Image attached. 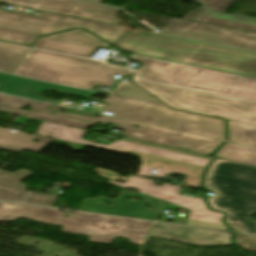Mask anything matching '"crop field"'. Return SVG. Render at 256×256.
<instances>
[{
    "label": "crop field",
    "mask_w": 256,
    "mask_h": 256,
    "mask_svg": "<svg viewBox=\"0 0 256 256\" xmlns=\"http://www.w3.org/2000/svg\"><path fill=\"white\" fill-rule=\"evenodd\" d=\"M0 92L21 96L25 98L35 99L47 102L41 97V92L44 90H54L58 92L73 94L77 96L87 97L92 96V92L76 90L30 79L10 76L0 73ZM35 93L39 94L38 96Z\"/></svg>",
    "instance_id": "crop-field-14"
},
{
    "label": "crop field",
    "mask_w": 256,
    "mask_h": 256,
    "mask_svg": "<svg viewBox=\"0 0 256 256\" xmlns=\"http://www.w3.org/2000/svg\"><path fill=\"white\" fill-rule=\"evenodd\" d=\"M228 160L256 165V148L226 143L216 154Z\"/></svg>",
    "instance_id": "crop-field-19"
},
{
    "label": "crop field",
    "mask_w": 256,
    "mask_h": 256,
    "mask_svg": "<svg viewBox=\"0 0 256 256\" xmlns=\"http://www.w3.org/2000/svg\"><path fill=\"white\" fill-rule=\"evenodd\" d=\"M46 37H51V38L96 46V47H103V48H108L110 46L84 30H71V31H67V32H63V33H59L51 36H46Z\"/></svg>",
    "instance_id": "crop-field-22"
},
{
    "label": "crop field",
    "mask_w": 256,
    "mask_h": 256,
    "mask_svg": "<svg viewBox=\"0 0 256 256\" xmlns=\"http://www.w3.org/2000/svg\"><path fill=\"white\" fill-rule=\"evenodd\" d=\"M77 27L86 29L111 44L124 29L120 26L44 12L36 16L17 11H0V28L43 35Z\"/></svg>",
    "instance_id": "crop-field-10"
},
{
    "label": "crop field",
    "mask_w": 256,
    "mask_h": 256,
    "mask_svg": "<svg viewBox=\"0 0 256 256\" xmlns=\"http://www.w3.org/2000/svg\"><path fill=\"white\" fill-rule=\"evenodd\" d=\"M3 2L14 3L26 7L72 15L92 20L103 21L118 25L120 19L114 17L119 9L96 5L76 0H0Z\"/></svg>",
    "instance_id": "crop-field-13"
},
{
    "label": "crop field",
    "mask_w": 256,
    "mask_h": 256,
    "mask_svg": "<svg viewBox=\"0 0 256 256\" xmlns=\"http://www.w3.org/2000/svg\"><path fill=\"white\" fill-rule=\"evenodd\" d=\"M253 77L256 78V74Z\"/></svg>",
    "instance_id": "crop-field-36"
},
{
    "label": "crop field",
    "mask_w": 256,
    "mask_h": 256,
    "mask_svg": "<svg viewBox=\"0 0 256 256\" xmlns=\"http://www.w3.org/2000/svg\"><path fill=\"white\" fill-rule=\"evenodd\" d=\"M124 51L231 73L251 76L256 53L199 43L177 37L121 33L112 44Z\"/></svg>",
    "instance_id": "crop-field-2"
},
{
    "label": "crop field",
    "mask_w": 256,
    "mask_h": 256,
    "mask_svg": "<svg viewBox=\"0 0 256 256\" xmlns=\"http://www.w3.org/2000/svg\"><path fill=\"white\" fill-rule=\"evenodd\" d=\"M114 117L225 140L224 120L109 96Z\"/></svg>",
    "instance_id": "crop-field-8"
},
{
    "label": "crop field",
    "mask_w": 256,
    "mask_h": 256,
    "mask_svg": "<svg viewBox=\"0 0 256 256\" xmlns=\"http://www.w3.org/2000/svg\"><path fill=\"white\" fill-rule=\"evenodd\" d=\"M86 1L100 3L102 0H86Z\"/></svg>",
    "instance_id": "crop-field-35"
},
{
    "label": "crop field",
    "mask_w": 256,
    "mask_h": 256,
    "mask_svg": "<svg viewBox=\"0 0 256 256\" xmlns=\"http://www.w3.org/2000/svg\"><path fill=\"white\" fill-rule=\"evenodd\" d=\"M112 96L167 107L163 103L143 91L141 88L123 81H121L119 85L114 89Z\"/></svg>",
    "instance_id": "crop-field-20"
},
{
    "label": "crop field",
    "mask_w": 256,
    "mask_h": 256,
    "mask_svg": "<svg viewBox=\"0 0 256 256\" xmlns=\"http://www.w3.org/2000/svg\"><path fill=\"white\" fill-rule=\"evenodd\" d=\"M27 119H31V118L18 116L13 122L20 123V124H25ZM33 120H36V119H33ZM36 121L42 122V120H36Z\"/></svg>",
    "instance_id": "crop-field-31"
},
{
    "label": "crop field",
    "mask_w": 256,
    "mask_h": 256,
    "mask_svg": "<svg viewBox=\"0 0 256 256\" xmlns=\"http://www.w3.org/2000/svg\"><path fill=\"white\" fill-rule=\"evenodd\" d=\"M183 19L256 32L255 20L216 14L214 12L208 11L204 7L191 11L189 14L183 17Z\"/></svg>",
    "instance_id": "crop-field-15"
},
{
    "label": "crop field",
    "mask_w": 256,
    "mask_h": 256,
    "mask_svg": "<svg viewBox=\"0 0 256 256\" xmlns=\"http://www.w3.org/2000/svg\"><path fill=\"white\" fill-rule=\"evenodd\" d=\"M68 144L70 147H72L73 149H77V150H81L83 147H85L84 145H79V144H74V143H68Z\"/></svg>",
    "instance_id": "crop-field-32"
},
{
    "label": "crop field",
    "mask_w": 256,
    "mask_h": 256,
    "mask_svg": "<svg viewBox=\"0 0 256 256\" xmlns=\"http://www.w3.org/2000/svg\"><path fill=\"white\" fill-rule=\"evenodd\" d=\"M32 174L27 171H18L11 174L0 170V200L23 202V197L28 191H24L26 185L19 181Z\"/></svg>",
    "instance_id": "crop-field-16"
},
{
    "label": "crop field",
    "mask_w": 256,
    "mask_h": 256,
    "mask_svg": "<svg viewBox=\"0 0 256 256\" xmlns=\"http://www.w3.org/2000/svg\"><path fill=\"white\" fill-rule=\"evenodd\" d=\"M35 138L39 143L32 141ZM51 140L41 139L29 135H22L14 132H7L0 129V145L13 147L21 150L37 153Z\"/></svg>",
    "instance_id": "crop-field-18"
},
{
    "label": "crop field",
    "mask_w": 256,
    "mask_h": 256,
    "mask_svg": "<svg viewBox=\"0 0 256 256\" xmlns=\"http://www.w3.org/2000/svg\"><path fill=\"white\" fill-rule=\"evenodd\" d=\"M161 167H162L161 165H159L158 167H155V166L153 167L154 170H157L155 173L156 175L159 174Z\"/></svg>",
    "instance_id": "crop-field-33"
},
{
    "label": "crop field",
    "mask_w": 256,
    "mask_h": 256,
    "mask_svg": "<svg viewBox=\"0 0 256 256\" xmlns=\"http://www.w3.org/2000/svg\"><path fill=\"white\" fill-rule=\"evenodd\" d=\"M135 78L256 102V80L135 56Z\"/></svg>",
    "instance_id": "crop-field-7"
},
{
    "label": "crop field",
    "mask_w": 256,
    "mask_h": 256,
    "mask_svg": "<svg viewBox=\"0 0 256 256\" xmlns=\"http://www.w3.org/2000/svg\"><path fill=\"white\" fill-rule=\"evenodd\" d=\"M133 72L100 61L31 49L12 74L90 90L94 85L111 86L116 81L114 74L128 76Z\"/></svg>",
    "instance_id": "crop-field-6"
},
{
    "label": "crop field",
    "mask_w": 256,
    "mask_h": 256,
    "mask_svg": "<svg viewBox=\"0 0 256 256\" xmlns=\"http://www.w3.org/2000/svg\"><path fill=\"white\" fill-rule=\"evenodd\" d=\"M35 48L53 50L65 54L84 56L89 58L96 50V47L42 37L35 44Z\"/></svg>",
    "instance_id": "crop-field-17"
},
{
    "label": "crop field",
    "mask_w": 256,
    "mask_h": 256,
    "mask_svg": "<svg viewBox=\"0 0 256 256\" xmlns=\"http://www.w3.org/2000/svg\"><path fill=\"white\" fill-rule=\"evenodd\" d=\"M58 196L30 192L26 197L27 204L52 207Z\"/></svg>",
    "instance_id": "crop-field-27"
},
{
    "label": "crop field",
    "mask_w": 256,
    "mask_h": 256,
    "mask_svg": "<svg viewBox=\"0 0 256 256\" xmlns=\"http://www.w3.org/2000/svg\"><path fill=\"white\" fill-rule=\"evenodd\" d=\"M110 183L122 188L137 189L140 191V194L131 195L125 191L118 200H110L107 198L84 200L81 210L139 219L157 220L159 214L164 211V209L174 210L182 208L192 210L186 225L221 230L228 229L221 221L224 214L208 210L202 197L191 198L179 196L180 187L178 186L165 183L158 186L151 180L136 177H130L126 184L114 181H110ZM128 197H137L144 200V202L126 200ZM105 201L113 203L114 206H105ZM148 202L153 204L155 209L159 212H151L145 207Z\"/></svg>",
    "instance_id": "crop-field-1"
},
{
    "label": "crop field",
    "mask_w": 256,
    "mask_h": 256,
    "mask_svg": "<svg viewBox=\"0 0 256 256\" xmlns=\"http://www.w3.org/2000/svg\"><path fill=\"white\" fill-rule=\"evenodd\" d=\"M0 50L25 55L29 49L0 43Z\"/></svg>",
    "instance_id": "crop-field-29"
},
{
    "label": "crop field",
    "mask_w": 256,
    "mask_h": 256,
    "mask_svg": "<svg viewBox=\"0 0 256 256\" xmlns=\"http://www.w3.org/2000/svg\"><path fill=\"white\" fill-rule=\"evenodd\" d=\"M0 148H3V149H8V150L16 151V152H20V151H21V150L12 149V148L3 147V146H0Z\"/></svg>",
    "instance_id": "crop-field-34"
},
{
    "label": "crop field",
    "mask_w": 256,
    "mask_h": 256,
    "mask_svg": "<svg viewBox=\"0 0 256 256\" xmlns=\"http://www.w3.org/2000/svg\"><path fill=\"white\" fill-rule=\"evenodd\" d=\"M209 9L223 13L237 0H200Z\"/></svg>",
    "instance_id": "crop-field-28"
},
{
    "label": "crop field",
    "mask_w": 256,
    "mask_h": 256,
    "mask_svg": "<svg viewBox=\"0 0 256 256\" xmlns=\"http://www.w3.org/2000/svg\"><path fill=\"white\" fill-rule=\"evenodd\" d=\"M23 57L0 51V72L11 74Z\"/></svg>",
    "instance_id": "crop-field-26"
},
{
    "label": "crop field",
    "mask_w": 256,
    "mask_h": 256,
    "mask_svg": "<svg viewBox=\"0 0 256 256\" xmlns=\"http://www.w3.org/2000/svg\"><path fill=\"white\" fill-rule=\"evenodd\" d=\"M65 213L46 208L0 202V222H15L26 218L40 223L64 226L62 231L90 236L88 241L111 244L115 237L128 238L133 244L142 245L152 223L77 213L70 219ZM111 224L112 227H105Z\"/></svg>",
    "instance_id": "crop-field-5"
},
{
    "label": "crop field",
    "mask_w": 256,
    "mask_h": 256,
    "mask_svg": "<svg viewBox=\"0 0 256 256\" xmlns=\"http://www.w3.org/2000/svg\"><path fill=\"white\" fill-rule=\"evenodd\" d=\"M96 170H97V172L100 173V176H103V177H107V178H111V179H113V178L124 179L125 178V177L118 176L117 173H115V172L107 171L105 169L97 168Z\"/></svg>",
    "instance_id": "crop-field-30"
},
{
    "label": "crop field",
    "mask_w": 256,
    "mask_h": 256,
    "mask_svg": "<svg viewBox=\"0 0 256 256\" xmlns=\"http://www.w3.org/2000/svg\"><path fill=\"white\" fill-rule=\"evenodd\" d=\"M27 104H30L33 110L41 111V108L36 101H29L13 96L0 94V106L21 109Z\"/></svg>",
    "instance_id": "crop-field-25"
},
{
    "label": "crop field",
    "mask_w": 256,
    "mask_h": 256,
    "mask_svg": "<svg viewBox=\"0 0 256 256\" xmlns=\"http://www.w3.org/2000/svg\"><path fill=\"white\" fill-rule=\"evenodd\" d=\"M0 111L12 113V114H16V115H22V116H26V117L32 115L34 118H37V119L48 120V121H52V122H56V123H60V124H64V125H68V126H72V127L82 128V129H85L88 126H90V124L77 122V121H73V120H68V119L55 117V116L43 115V114H39V113L22 112V111H15V110L2 109V108H0Z\"/></svg>",
    "instance_id": "crop-field-23"
},
{
    "label": "crop field",
    "mask_w": 256,
    "mask_h": 256,
    "mask_svg": "<svg viewBox=\"0 0 256 256\" xmlns=\"http://www.w3.org/2000/svg\"><path fill=\"white\" fill-rule=\"evenodd\" d=\"M229 141L256 147V126L228 120Z\"/></svg>",
    "instance_id": "crop-field-21"
},
{
    "label": "crop field",
    "mask_w": 256,
    "mask_h": 256,
    "mask_svg": "<svg viewBox=\"0 0 256 256\" xmlns=\"http://www.w3.org/2000/svg\"><path fill=\"white\" fill-rule=\"evenodd\" d=\"M54 115L65 116L92 123H97L98 121L115 123L118 124L115 128L125 130L122 134L128 138L168 145L174 148H184L189 151L202 154L211 153L222 143L221 141L217 140L207 139L203 137H198L194 135L184 134L180 132L128 122L105 116H101L99 117V119H94L83 115H76L71 113H57ZM132 125H138L140 126V128H133Z\"/></svg>",
    "instance_id": "crop-field-11"
},
{
    "label": "crop field",
    "mask_w": 256,
    "mask_h": 256,
    "mask_svg": "<svg viewBox=\"0 0 256 256\" xmlns=\"http://www.w3.org/2000/svg\"><path fill=\"white\" fill-rule=\"evenodd\" d=\"M162 33L256 51V34L179 19H172Z\"/></svg>",
    "instance_id": "crop-field-12"
},
{
    "label": "crop field",
    "mask_w": 256,
    "mask_h": 256,
    "mask_svg": "<svg viewBox=\"0 0 256 256\" xmlns=\"http://www.w3.org/2000/svg\"><path fill=\"white\" fill-rule=\"evenodd\" d=\"M53 128L55 130H52ZM44 131H50L53 132L54 134H46L44 133ZM85 132V130H79L53 123H42L36 134L41 136H50L52 138H59L71 142L121 152L125 154H128L129 152L136 153L142 158H144L138 170V175L146 177L153 176L164 179V177L167 174H170L171 171L185 173L188 174L187 185H180L197 188L200 187L201 172L204 171V169L206 168L207 164L211 159V157L208 156L164 148L129 139H123L109 146L94 144L81 139V136ZM162 162L169 163L172 165H165L162 164ZM159 164L163 165L159 176L149 175L148 172L151 171L152 166H158Z\"/></svg>",
    "instance_id": "crop-field-4"
},
{
    "label": "crop field",
    "mask_w": 256,
    "mask_h": 256,
    "mask_svg": "<svg viewBox=\"0 0 256 256\" xmlns=\"http://www.w3.org/2000/svg\"><path fill=\"white\" fill-rule=\"evenodd\" d=\"M173 108L256 125V104L134 79Z\"/></svg>",
    "instance_id": "crop-field-9"
},
{
    "label": "crop field",
    "mask_w": 256,
    "mask_h": 256,
    "mask_svg": "<svg viewBox=\"0 0 256 256\" xmlns=\"http://www.w3.org/2000/svg\"><path fill=\"white\" fill-rule=\"evenodd\" d=\"M38 36L22 32L0 29V39L30 45Z\"/></svg>",
    "instance_id": "crop-field-24"
},
{
    "label": "crop field",
    "mask_w": 256,
    "mask_h": 256,
    "mask_svg": "<svg viewBox=\"0 0 256 256\" xmlns=\"http://www.w3.org/2000/svg\"><path fill=\"white\" fill-rule=\"evenodd\" d=\"M204 187L215 192L206 196L211 208L228 212L233 231L256 234V167L215 159L207 171Z\"/></svg>",
    "instance_id": "crop-field-3"
}]
</instances>
